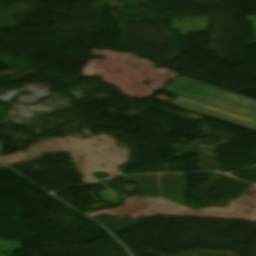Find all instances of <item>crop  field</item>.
I'll use <instances>...</instances> for the list:
<instances>
[{"label":"crop field","mask_w":256,"mask_h":256,"mask_svg":"<svg viewBox=\"0 0 256 256\" xmlns=\"http://www.w3.org/2000/svg\"><path fill=\"white\" fill-rule=\"evenodd\" d=\"M164 90L256 119V100L197 81L180 77ZM170 105L256 132V121L202 103L179 97Z\"/></svg>","instance_id":"crop-field-1"}]
</instances>
